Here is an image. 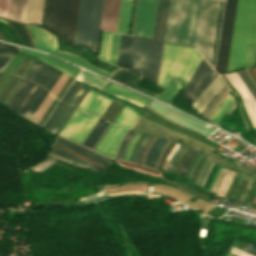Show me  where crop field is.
<instances>
[{"instance_id":"1","label":"crop field","mask_w":256,"mask_h":256,"mask_svg":"<svg viewBox=\"0 0 256 256\" xmlns=\"http://www.w3.org/2000/svg\"><path fill=\"white\" fill-rule=\"evenodd\" d=\"M255 52L256 0H238L227 71L254 65Z\"/></svg>"},{"instance_id":"2","label":"crop field","mask_w":256,"mask_h":256,"mask_svg":"<svg viewBox=\"0 0 256 256\" xmlns=\"http://www.w3.org/2000/svg\"><path fill=\"white\" fill-rule=\"evenodd\" d=\"M202 1H170L164 41L196 45Z\"/></svg>"},{"instance_id":"3","label":"crop field","mask_w":256,"mask_h":256,"mask_svg":"<svg viewBox=\"0 0 256 256\" xmlns=\"http://www.w3.org/2000/svg\"><path fill=\"white\" fill-rule=\"evenodd\" d=\"M80 0H48L44 26L65 41H74Z\"/></svg>"},{"instance_id":"4","label":"crop field","mask_w":256,"mask_h":256,"mask_svg":"<svg viewBox=\"0 0 256 256\" xmlns=\"http://www.w3.org/2000/svg\"><path fill=\"white\" fill-rule=\"evenodd\" d=\"M104 0H81L75 45L96 52Z\"/></svg>"},{"instance_id":"5","label":"crop field","mask_w":256,"mask_h":256,"mask_svg":"<svg viewBox=\"0 0 256 256\" xmlns=\"http://www.w3.org/2000/svg\"><path fill=\"white\" fill-rule=\"evenodd\" d=\"M222 1L204 0L196 49L212 65ZM208 62V63H209Z\"/></svg>"},{"instance_id":"6","label":"crop field","mask_w":256,"mask_h":256,"mask_svg":"<svg viewBox=\"0 0 256 256\" xmlns=\"http://www.w3.org/2000/svg\"><path fill=\"white\" fill-rule=\"evenodd\" d=\"M196 50L165 43L158 85L165 89L168 77L182 81Z\"/></svg>"},{"instance_id":"7","label":"crop field","mask_w":256,"mask_h":256,"mask_svg":"<svg viewBox=\"0 0 256 256\" xmlns=\"http://www.w3.org/2000/svg\"><path fill=\"white\" fill-rule=\"evenodd\" d=\"M237 0H226L215 69L226 73Z\"/></svg>"},{"instance_id":"8","label":"crop field","mask_w":256,"mask_h":256,"mask_svg":"<svg viewBox=\"0 0 256 256\" xmlns=\"http://www.w3.org/2000/svg\"><path fill=\"white\" fill-rule=\"evenodd\" d=\"M29 83H30V81L24 79V81L22 82V84L20 85V87L18 88V90L16 91V93L14 94L12 99L10 100V102L8 103L7 106L9 108H11L13 111L16 112L19 105L22 103V101L24 100L26 95L29 93V91L33 87L34 83H31L30 87L26 91L25 89L27 88ZM24 90L26 91V93L24 94V96L22 97L20 102L17 104V106L14 108V106L18 102V100H19L20 96L22 95V93L24 92ZM47 93L48 92L45 89H43L42 87H40L38 85H35V87L32 89V91L30 92L28 97L25 99V101L23 102L21 107L18 109L17 113L25 118L30 119V117L33 115V113L35 112L37 107L40 105V103L42 102L44 97L47 95Z\"/></svg>"},{"instance_id":"9","label":"crop field","mask_w":256,"mask_h":256,"mask_svg":"<svg viewBox=\"0 0 256 256\" xmlns=\"http://www.w3.org/2000/svg\"><path fill=\"white\" fill-rule=\"evenodd\" d=\"M158 0H137L132 35L152 39Z\"/></svg>"},{"instance_id":"10","label":"crop field","mask_w":256,"mask_h":256,"mask_svg":"<svg viewBox=\"0 0 256 256\" xmlns=\"http://www.w3.org/2000/svg\"><path fill=\"white\" fill-rule=\"evenodd\" d=\"M97 120L98 118L84 114L76 108L60 136L82 144Z\"/></svg>"},{"instance_id":"11","label":"crop field","mask_w":256,"mask_h":256,"mask_svg":"<svg viewBox=\"0 0 256 256\" xmlns=\"http://www.w3.org/2000/svg\"><path fill=\"white\" fill-rule=\"evenodd\" d=\"M216 75L209 64L202 59L184 91L185 98L193 102Z\"/></svg>"},{"instance_id":"12","label":"crop field","mask_w":256,"mask_h":256,"mask_svg":"<svg viewBox=\"0 0 256 256\" xmlns=\"http://www.w3.org/2000/svg\"><path fill=\"white\" fill-rule=\"evenodd\" d=\"M60 75L61 72L39 61H36L32 69L26 76V79H29L41 86H44L49 92V90L54 85Z\"/></svg>"},{"instance_id":"13","label":"crop field","mask_w":256,"mask_h":256,"mask_svg":"<svg viewBox=\"0 0 256 256\" xmlns=\"http://www.w3.org/2000/svg\"><path fill=\"white\" fill-rule=\"evenodd\" d=\"M151 40L136 38L134 37L131 60H130V70H134L137 72L143 71L145 74L149 48H150Z\"/></svg>"},{"instance_id":"14","label":"crop field","mask_w":256,"mask_h":256,"mask_svg":"<svg viewBox=\"0 0 256 256\" xmlns=\"http://www.w3.org/2000/svg\"><path fill=\"white\" fill-rule=\"evenodd\" d=\"M128 130L112 124L96 151L101 152L110 157H115L119 144Z\"/></svg>"},{"instance_id":"15","label":"crop field","mask_w":256,"mask_h":256,"mask_svg":"<svg viewBox=\"0 0 256 256\" xmlns=\"http://www.w3.org/2000/svg\"><path fill=\"white\" fill-rule=\"evenodd\" d=\"M26 27L29 29L34 38L35 49L46 51L58 56L55 36L36 25H26Z\"/></svg>"},{"instance_id":"16","label":"crop field","mask_w":256,"mask_h":256,"mask_svg":"<svg viewBox=\"0 0 256 256\" xmlns=\"http://www.w3.org/2000/svg\"><path fill=\"white\" fill-rule=\"evenodd\" d=\"M238 91L239 95L242 98L245 110L254 126L256 128V101L249 93L248 89L236 75V73L226 74L224 76ZM248 101V103H246Z\"/></svg>"},{"instance_id":"17","label":"crop field","mask_w":256,"mask_h":256,"mask_svg":"<svg viewBox=\"0 0 256 256\" xmlns=\"http://www.w3.org/2000/svg\"><path fill=\"white\" fill-rule=\"evenodd\" d=\"M102 96L103 95H101L97 91H95V90L90 88V90L88 91L86 96L83 98V100L81 101V103L79 104L78 107L80 109H82L83 111H85V112L93 113V114L101 117V115L103 114V112L105 111V109L107 108L109 103L111 102V99H109V98H107L105 96L100 101ZM99 101H100V103H99ZM103 103H104V105H103ZM100 107H101V109H100ZM97 111H98V113H97Z\"/></svg>"},{"instance_id":"18","label":"crop field","mask_w":256,"mask_h":256,"mask_svg":"<svg viewBox=\"0 0 256 256\" xmlns=\"http://www.w3.org/2000/svg\"><path fill=\"white\" fill-rule=\"evenodd\" d=\"M120 0H105L101 29L116 32Z\"/></svg>"},{"instance_id":"19","label":"crop field","mask_w":256,"mask_h":256,"mask_svg":"<svg viewBox=\"0 0 256 256\" xmlns=\"http://www.w3.org/2000/svg\"><path fill=\"white\" fill-rule=\"evenodd\" d=\"M102 91L110 93L112 95L124 98L126 100H129L131 102H134L140 106L146 105L148 102L151 101V99L142 96L136 92H133L131 90H128L124 87H121L119 85L113 84L109 82L103 89Z\"/></svg>"},{"instance_id":"20","label":"crop field","mask_w":256,"mask_h":256,"mask_svg":"<svg viewBox=\"0 0 256 256\" xmlns=\"http://www.w3.org/2000/svg\"><path fill=\"white\" fill-rule=\"evenodd\" d=\"M163 45L164 43L162 42L154 40L151 42L146 75L152 78L156 83L158 81Z\"/></svg>"},{"instance_id":"21","label":"crop field","mask_w":256,"mask_h":256,"mask_svg":"<svg viewBox=\"0 0 256 256\" xmlns=\"http://www.w3.org/2000/svg\"><path fill=\"white\" fill-rule=\"evenodd\" d=\"M23 52L35 57V58H38L50 65H52L53 67L67 73L68 75L72 76V77H75L77 75V73L81 70L75 66H72L66 62H63L61 60H58L56 58H53V57H50L48 55H45V54H42V53H39V52H35V51H31V50H26V49H22L20 48Z\"/></svg>"},{"instance_id":"22","label":"crop field","mask_w":256,"mask_h":256,"mask_svg":"<svg viewBox=\"0 0 256 256\" xmlns=\"http://www.w3.org/2000/svg\"><path fill=\"white\" fill-rule=\"evenodd\" d=\"M222 79L217 75L215 79L208 85V87L201 93V95L196 99V101L193 103V108L198 109L199 106L205 101V99L212 93V91L216 88V86L219 84V82ZM224 82L221 81V83L218 85V87L213 91V93L207 98V100L200 106V108L197 110L199 114L202 113V111L205 109V107L209 104V102L213 99V97L222 89L224 86Z\"/></svg>"},{"instance_id":"23","label":"crop field","mask_w":256,"mask_h":256,"mask_svg":"<svg viewBox=\"0 0 256 256\" xmlns=\"http://www.w3.org/2000/svg\"><path fill=\"white\" fill-rule=\"evenodd\" d=\"M133 0H122L117 32L128 34Z\"/></svg>"},{"instance_id":"24","label":"crop field","mask_w":256,"mask_h":256,"mask_svg":"<svg viewBox=\"0 0 256 256\" xmlns=\"http://www.w3.org/2000/svg\"><path fill=\"white\" fill-rule=\"evenodd\" d=\"M57 143L62 144L64 146H66V147H69V148H71V149H73V150H75V151H77V152H79L81 154H84V155H86V156H88L90 158H93V159H96L98 161L104 162L106 164H108L109 161H110L109 158H107V157H105V156H103V155H101V154H99V153H97V152H95L93 150H90L88 148L80 146V145H78L76 143H73L71 141L63 139L61 137L58 138Z\"/></svg>"},{"instance_id":"25","label":"crop field","mask_w":256,"mask_h":256,"mask_svg":"<svg viewBox=\"0 0 256 256\" xmlns=\"http://www.w3.org/2000/svg\"><path fill=\"white\" fill-rule=\"evenodd\" d=\"M133 37L122 35L117 65L128 69Z\"/></svg>"},{"instance_id":"26","label":"crop field","mask_w":256,"mask_h":256,"mask_svg":"<svg viewBox=\"0 0 256 256\" xmlns=\"http://www.w3.org/2000/svg\"><path fill=\"white\" fill-rule=\"evenodd\" d=\"M108 125L109 122H105V120L99 118V120L97 121V123L95 124V126L83 142V145L93 149V147L95 146V144L97 143V141L99 140V138L101 137V135L103 134Z\"/></svg>"},{"instance_id":"27","label":"crop field","mask_w":256,"mask_h":256,"mask_svg":"<svg viewBox=\"0 0 256 256\" xmlns=\"http://www.w3.org/2000/svg\"><path fill=\"white\" fill-rule=\"evenodd\" d=\"M138 117L137 111L125 105L114 120V123L131 128Z\"/></svg>"},{"instance_id":"28","label":"crop field","mask_w":256,"mask_h":256,"mask_svg":"<svg viewBox=\"0 0 256 256\" xmlns=\"http://www.w3.org/2000/svg\"><path fill=\"white\" fill-rule=\"evenodd\" d=\"M59 55H60L61 58L65 59L69 62H72L76 65H79V66L84 67L86 69H89L91 71L97 72L99 74H102V75H104L108 78L111 76L110 73H107L105 71H102V70L90 65L89 63L86 62V60L80 58V56H78V55L69 54V53H66V52H63V51H59Z\"/></svg>"},{"instance_id":"29","label":"crop field","mask_w":256,"mask_h":256,"mask_svg":"<svg viewBox=\"0 0 256 256\" xmlns=\"http://www.w3.org/2000/svg\"><path fill=\"white\" fill-rule=\"evenodd\" d=\"M25 7L26 0H10L7 18L23 22Z\"/></svg>"},{"instance_id":"30","label":"crop field","mask_w":256,"mask_h":256,"mask_svg":"<svg viewBox=\"0 0 256 256\" xmlns=\"http://www.w3.org/2000/svg\"><path fill=\"white\" fill-rule=\"evenodd\" d=\"M168 140L157 138L154 144L149 149L144 164L154 166L157 159Z\"/></svg>"},{"instance_id":"31","label":"crop field","mask_w":256,"mask_h":256,"mask_svg":"<svg viewBox=\"0 0 256 256\" xmlns=\"http://www.w3.org/2000/svg\"><path fill=\"white\" fill-rule=\"evenodd\" d=\"M180 88L181 85L177 80L169 78L166 89L156 98L169 104L174 96L177 94V92L180 90Z\"/></svg>"},{"instance_id":"32","label":"crop field","mask_w":256,"mask_h":256,"mask_svg":"<svg viewBox=\"0 0 256 256\" xmlns=\"http://www.w3.org/2000/svg\"><path fill=\"white\" fill-rule=\"evenodd\" d=\"M77 80L97 87L99 89H101L108 82V80L91 74L85 70L81 72V74L77 77Z\"/></svg>"},{"instance_id":"33","label":"crop field","mask_w":256,"mask_h":256,"mask_svg":"<svg viewBox=\"0 0 256 256\" xmlns=\"http://www.w3.org/2000/svg\"><path fill=\"white\" fill-rule=\"evenodd\" d=\"M17 50L16 47L2 44L0 47V71L4 69Z\"/></svg>"},{"instance_id":"34","label":"crop field","mask_w":256,"mask_h":256,"mask_svg":"<svg viewBox=\"0 0 256 256\" xmlns=\"http://www.w3.org/2000/svg\"><path fill=\"white\" fill-rule=\"evenodd\" d=\"M111 35L112 33L104 32V31H102V34H101L98 57L105 61H107L108 59Z\"/></svg>"},{"instance_id":"35","label":"crop field","mask_w":256,"mask_h":256,"mask_svg":"<svg viewBox=\"0 0 256 256\" xmlns=\"http://www.w3.org/2000/svg\"><path fill=\"white\" fill-rule=\"evenodd\" d=\"M120 38H121V35L113 33L108 62L115 65L117 62Z\"/></svg>"},{"instance_id":"36","label":"crop field","mask_w":256,"mask_h":256,"mask_svg":"<svg viewBox=\"0 0 256 256\" xmlns=\"http://www.w3.org/2000/svg\"><path fill=\"white\" fill-rule=\"evenodd\" d=\"M201 58L202 57L199 55V53L196 52V54H195V56H194V58H193V60L190 64V67H189V69H188V71H187V73H186V75H185V77L182 81L184 87L187 84L188 80L190 79L191 75L193 74V72H194L195 68L197 67L198 63L200 62Z\"/></svg>"},{"instance_id":"37","label":"crop field","mask_w":256,"mask_h":256,"mask_svg":"<svg viewBox=\"0 0 256 256\" xmlns=\"http://www.w3.org/2000/svg\"><path fill=\"white\" fill-rule=\"evenodd\" d=\"M53 149L56 150V151H59V152H61V153H64V154H66V155H69V156H71V157H73V158H75V159H77V160H80V161H82V162H84V163H86V164H88V165H90V166H93V167H95V168H97V169H99V170H101V171L103 170V168H100V167H98V166H96V165H94V164H92V163H90V162H88V161H86V160H84V159H82V158H80V157H78V156H76V155L70 153V152H67V151H65V150H63V149H60V148H58V147H56V146H54Z\"/></svg>"},{"instance_id":"38","label":"crop field","mask_w":256,"mask_h":256,"mask_svg":"<svg viewBox=\"0 0 256 256\" xmlns=\"http://www.w3.org/2000/svg\"><path fill=\"white\" fill-rule=\"evenodd\" d=\"M231 97H232L231 94H229L225 98V100L219 105L218 109L216 110V112L213 114V116L210 118L209 121L212 122L217 117V115L222 111V109L224 108V106L227 104V102L230 100Z\"/></svg>"},{"instance_id":"39","label":"crop field","mask_w":256,"mask_h":256,"mask_svg":"<svg viewBox=\"0 0 256 256\" xmlns=\"http://www.w3.org/2000/svg\"><path fill=\"white\" fill-rule=\"evenodd\" d=\"M9 0L0 1V17L6 18Z\"/></svg>"},{"instance_id":"40","label":"crop field","mask_w":256,"mask_h":256,"mask_svg":"<svg viewBox=\"0 0 256 256\" xmlns=\"http://www.w3.org/2000/svg\"><path fill=\"white\" fill-rule=\"evenodd\" d=\"M235 102V100L233 99V97L231 98V100L228 102V104L226 105V107L223 109V111L220 113V115L215 119L214 123H218L219 120L227 113V111L230 109V107L233 105V103Z\"/></svg>"},{"instance_id":"41","label":"crop field","mask_w":256,"mask_h":256,"mask_svg":"<svg viewBox=\"0 0 256 256\" xmlns=\"http://www.w3.org/2000/svg\"><path fill=\"white\" fill-rule=\"evenodd\" d=\"M169 1L170 0H166L164 19H163V25H162V31H161V37H160V40H162V41H163V38H164V32H165V26H166V20H167V13H168V7H169Z\"/></svg>"},{"instance_id":"42","label":"crop field","mask_w":256,"mask_h":256,"mask_svg":"<svg viewBox=\"0 0 256 256\" xmlns=\"http://www.w3.org/2000/svg\"><path fill=\"white\" fill-rule=\"evenodd\" d=\"M151 138V136L147 135V137L144 139V141L141 143L136 155H135V158H134V162H139V158H140V154L145 146V144L149 141V139Z\"/></svg>"},{"instance_id":"43","label":"crop field","mask_w":256,"mask_h":256,"mask_svg":"<svg viewBox=\"0 0 256 256\" xmlns=\"http://www.w3.org/2000/svg\"><path fill=\"white\" fill-rule=\"evenodd\" d=\"M161 5H162V0H159V5H158L157 18H156V24H155V30H154L153 39H156V36H157V30H158V24H159V18H160Z\"/></svg>"},{"instance_id":"44","label":"crop field","mask_w":256,"mask_h":256,"mask_svg":"<svg viewBox=\"0 0 256 256\" xmlns=\"http://www.w3.org/2000/svg\"><path fill=\"white\" fill-rule=\"evenodd\" d=\"M140 135H141V133H137V134L133 137V139H132V141H131V143H130V145H129V147H128L127 153H126V155H125V158H124L125 160H128V159H129L130 151H131L133 145L135 144L136 140L139 138Z\"/></svg>"},{"instance_id":"45","label":"crop field","mask_w":256,"mask_h":256,"mask_svg":"<svg viewBox=\"0 0 256 256\" xmlns=\"http://www.w3.org/2000/svg\"><path fill=\"white\" fill-rule=\"evenodd\" d=\"M63 105V102H60V104L57 106V108L55 109V111L52 113V115L49 117V119L47 120V122L45 123V125L43 126V128L47 129V127L49 126V124L51 123V121L53 120V118L55 117V115L57 114V112L59 111V109L61 108V106Z\"/></svg>"},{"instance_id":"46","label":"crop field","mask_w":256,"mask_h":256,"mask_svg":"<svg viewBox=\"0 0 256 256\" xmlns=\"http://www.w3.org/2000/svg\"><path fill=\"white\" fill-rule=\"evenodd\" d=\"M72 106V105H71ZM71 106L68 105V107L66 108V110L64 111V113L62 114V116L60 117V119L58 120V122L56 123V125L54 126V128L52 129V132L55 133V131L57 130V128L59 127V125L61 124V122L63 121V119L65 118V116L67 115V113L69 112V110L71 109Z\"/></svg>"},{"instance_id":"47","label":"crop field","mask_w":256,"mask_h":256,"mask_svg":"<svg viewBox=\"0 0 256 256\" xmlns=\"http://www.w3.org/2000/svg\"><path fill=\"white\" fill-rule=\"evenodd\" d=\"M222 170H223V168H222ZM222 170H221V172H222ZM225 171H226V168L224 169L222 175L225 173ZM228 171H229V169L227 170V172H228ZM221 172H220V174H221ZM227 172L224 174L223 179H224L225 175L227 174ZM220 174H219V176H220ZM222 175H221V177H220V179H219L217 185L215 186V184H216V182H217V180H218V178H219V176H218V178H217V180H216V182H215V184H214L215 188H214V186H213L214 190H213V188H212L213 192H212V190H211L212 193H215V191H216V189H217V187H218V185H219V183H220V181H221ZM223 179H222V182H223ZM222 182H221V184H222ZM221 184H220V186H219V188L217 189V191H216L215 194H217V192L219 191V189H220V187H221Z\"/></svg>"},{"instance_id":"48","label":"crop field","mask_w":256,"mask_h":256,"mask_svg":"<svg viewBox=\"0 0 256 256\" xmlns=\"http://www.w3.org/2000/svg\"><path fill=\"white\" fill-rule=\"evenodd\" d=\"M52 152L57 153V154H59V155H61V156H63V157H66V158H68V159H71V160H73V161H75V162H77V163H79V164H82V165H84V166H86V167H89V168H91V170H93V171L98 172V173L101 174V171H99V170H97V169H95V168H93V167H90V166H88V165H86V164H84V163H82V162H80V161H77V160H75V159H73V158H71V157H69V156H66V155H64V154H61V153L56 152V151H54V150H52Z\"/></svg>"},{"instance_id":"49","label":"crop field","mask_w":256,"mask_h":256,"mask_svg":"<svg viewBox=\"0 0 256 256\" xmlns=\"http://www.w3.org/2000/svg\"><path fill=\"white\" fill-rule=\"evenodd\" d=\"M229 91H231L229 88L226 90V92L223 94V96L220 98V100L217 102V104L214 106V108L211 110V112L208 114L207 118H209L212 113L215 111V109L218 107V105L224 100V98L229 94Z\"/></svg>"},{"instance_id":"50","label":"crop field","mask_w":256,"mask_h":256,"mask_svg":"<svg viewBox=\"0 0 256 256\" xmlns=\"http://www.w3.org/2000/svg\"><path fill=\"white\" fill-rule=\"evenodd\" d=\"M195 154V151L192 150V152L190 153V155L188 156V158L186 159L183 167H182V170H181V175H184L185 171H186V168L190 162V160L192 159L193 155Z\"/></svg>"},{"instance_id":"51","label":"crop field","mask_w":256,"mask_h":256,"mask_svg":"<svg viewBox=\"0 0 256 256\" xmlns=\"http://www.w3.org/2000/svg\"><path fill=\"white\" fill-rule=\"evenodd\" d=\"M237 74L240 76V78L242 79V81L244 82V84L247 86V88L249 89V91L251 92V94L253 95V97L256 100V94L254 93V91L252 90V88L250 87V85L248 84V82L246 81L245 77L243 76V74L241 73V71L237 72Z\"/></svg>"},{"instance_id":"52","label":"crop field","mask_w":256,"mask_h":256,"mask_svg":"<svg viewBox=\"0 0 256 256\" xmlns=\"http://www.w3.org/2000/svg\"><path fill=\"white\" fill-rule=\"evenodd\" d=\"M132 133H133V131L129 130L128 134L126 135V137H125V139H124V141H123V143H122V145H121V147H120V150H119V153H118L117 158H120V157H121V154H122V152H123L124 146H125V144H126L128 138H129V136H130ZM130 137H131V136H130Z\"/></svg>"},{"instance_id":"53","label":"crop field","mask_w":256,"mask_h":256,"mask_svg":"<svg viewBox=\"0 0 256 256\" xmlns=\"http://www.w3.org/2000/svg\"><path fill=\"white\" fill-rule=\"evenodd\" d=\"M78 84V81L75 80V82L73 83V85L70 87V89L68 90V92L66 93V95L63 97V101L66 102V100L68 99V97L70 96V94L72 93V91L74 90V88L76 87V85Z\"/></svg>"},{"instance_id":"54","label":"crop field","mask_w":256,"mask_h":256,"mask_svg":"<svg viewBox=\"0 0 256 256\" xmlns=\"http://www.w3.org/2000/svg\"><path fill=\"white\" fill-rule=\"evenodd\" d=\"M183 145H180V147L177 149V151L174 153L173 157L171 158L170 162H169V165H168V168L167 170H171V167H172V163H173V160L174 158L176 157V155L179 153V151L182 149Z\"/></svg>"},{"instance_id":"55","label":"crop field","mask_w":256,"mask_h":256,"mask_svg":"<svg viewBox=\"0 0 256 256\" xmlns=\"http://www.w3.org/2000/svg\"><path fill=\"white\" fill-rule=\"evenodd\" d=\"M243 251H245V252H247V253H250V254L256 256V248H255L253 245H251V244H250V246H249V249H247V248L244 247Z\"/></svg>"},{"instance_id":"56","label":"crop field","mask_w":256,"mask_h":256,"mask_svg":"<svg viewBox=\"0 0 256 256\" xmlns=\"http://www.w3.org/2000/svg\"><path fill=\"white\" fill-rule=\"evenodd\" d=\"M230 251L235 253V254H238L240 256H252V255H249V254H247V253H245L243 251H240V250H238V249H236L234 247H232Z\"/></svg>"},{"instance_id":"57","label":"crop field","mask_w":256,"mask_h":256,"mask_svg":"<svg viewBox=\"0 0 256 256\" xmlns=\"http://www.w3.org/2000/svg\"><path fill=\"white\" fill-rule=\"evenodd\" d=\"M84 89H85V86L83 85L82 88L78 91V93L75 95V97H74L73 100L71 101V104L74 105V103L76 102V100H77L78 97L81 95V93L83 92Z\"/></svg>"},{"instance_id":"58","label":"crop field","mask_w":256,"mask_h":256,"mask_svg":"<svg viewBox=\"0 0 256 256\" xmlns=\"http://www.w3.org/2000/svg\"><path fill=\"white\" fill-rule=\"evenodd\" d=\"M235 175H236V172L233 173V175H232V177H231V179H230V181H229V183H228V186H227V188H226V190H225V192H224V194H223V197L225 196L226 192L228 191V189H229V187H230V185H231V183H232V181H233Z\"/></svg>"},{"instance_id":"59","label":"crop field","mask_w":256,"mask_h":256,"mask_svg":"<svg viewBox=\"0 0 256 256\" xmlns=\"http://www.w3.org/2000/svg\"><path fill=\"white\" fill-rule=\"evenodd\" d=\"M206 160H207V159H206ZM208 160H209V159H208ZM208 160H207V162H208ZM210 161H211V160H210ZM210 161H209L208 163L205 161V162L207 163V165L204 163L206 166H205V168H204V170H203V174H204L205 170L207 169V166H208V164L210 163ZM204 164H203V166H204ZM203 166H202V168H203ZM202 168H201V169H202ZM200 172H201V170H200ZM200 172H199V174H200ZM201 173H202V172H201ZM203 174H202V176H203ZM200 175H201V174H200ZM198 176H199V175H198ZM202 176H201V178H202ZM199 177H200V176H199ZM197 178H198V177H197ZM201 178H200V180H201ZM198 179H199V178H198ZM196 180H197V179H196ZM200 180H199V182H200ZM199 182H198V184H199Z\"/></svg>"},{"instance_id":"60","label":"crop field","mask_w":256,"mask_h":256,"mask_svg":"<svg viewBox=\"0 0 256 256\" xmlns=\"http://www.w3.org/2000/svg\"><path fill=\"white\" fill-rule=\"evenodd\" d=\"M248 191H249V189H248V188H245V190H244V192H243V194H242V196H241V198H240L241 201H244V199H245V197H246Z\"/></svg>"},{"instance_id":"61","label":"crop field","mask_w":256,"mask_h":256,"mask_svg":"<svg viewBox=\"0 0 256 256\" xmlns=\"http://www.w3.org/2000/svg\"><path fill=\"white\" fill-rule=\"evenodd\" d=\"M52 154V153H51ZM51 154H49L48 156H50V157H53V158H56V159H59V158H62V159H64V160H67V161H70V160H68V159H66V158H63V157H61V156H58V155H56V154H53V155H55V156H57V157H59V158H57V157H55V156H53V155H51ZM62 159H59V160H62ZM63 160V161H64ZM66 161V162H67ZM70 162H72V161H70ZM73 163V162H72Z\"/></svg>"},{"instance_id":"62","label":"crop field","mask_w":256,"mask_h":256,"mask_svg":"<svg viewBox=\"0 0 256 256\" xmlns=\"http://www.w3.org/2000/svg\"><path fill=\"white\" fill-rule=\"evenodd\" d=\"M226 90V88L224 89V91ZM224 91L220 94V96L224 93ZM219 96V97H220ZM219 97L214 101V103L209 107V109L206 111V113L204 114V117L206 116V114L209 112V110L212 108V106L215 104V102L219 99Z\"/></svg>"},{"instance_id":"63","label":"crop field","mask_w":256,"mask_h":256,"mask_svg":"<svg viewBox=\"0 0 256 256\" xmlns=\"http://www.w3.org/2000/svg\"><path fill=\"white\" fill-rule=\"evenodd\" d=\"M225 87H226V85L223 87V89H224ZM223 89H222V90H223ZM222 90H221V91H222ZM221 91H220L216 96H218V95L221 93ZM215 99H216V98H214V99L212 100V102H213ZM212 102L210 103V105L212 104ZM210 105H209V106H210ZM209 106H208V107H209ZM208 107H207V108H208ZM206 110H207V109H206ZM206 110H205V111H206ZM205 111H204V112H205ZM203 114H204V113H203ZM203 114H202V115H203Z\"/></svg>"},{"instance_id":"64","label":"crop field","mask_w":256,"mask_h":256,"mask_svg":"<svg viewBox=\"0 0 256 256\" xmlns=\"http://www.w3.org/2000/svg\"><path fill=\"white\" fill-rule=\"evenodd\" d=\"M213 164H214V162H213ZM213 164H212V166L210 167V169H209V171H208V173H207V175H206L205 178H207L208 174L210 173V171H211V169H212V167H213ZM204 182H205V180H204ZM204 182H203V184H204ZM203 184H202V186H203Z\"/></svg>"},{"instance_id":"65","label":"crop field","mask_w":256,"mask_h":256,"mask_svg":"<svg viewBox=\"0 0 256 256\" xmlns=\"http://www.w3.org/2000/svg\"><path fill=\"white\" fill-rule=\"evenodd\" d=\"M227 256H238V255H235V254L229 252V254Z\"/></svg>"},{"instance_id":"66","label":"crop field","mask_w":256,"mask_h":256,"mask_svg":"<svg viewBox=\"0 0 256 256\" xmlns=\"http://www.w3.org/2000/svg\"><path fill=\"white\" fill-rule=\"evenodd\" d=\"M246 72L248 73V75L250 76V78L252 79V81L254 82L252 76L249 74V72L246 70ZM254 84L256 85V83L254 82Z\"/></svg>"},{"instance_id":"67","label":"crop field","mask_w":256,"mask_h":256,"mask_svg":"<svg viewBox=\"0 0 256 256\" xmlns=\"http://www.w3.org/2000/svg\"><path fill=\"white\" fill-rule=\"evenodd\" d=\"M0 46H1V43H0Z\"/></svg>"},{"instance_id":"68","label":"crop field","mask_w":256,"mask_h":256,"mask_svg":"<svg viewBox=\"0 0 256 256\" xmlns=\"http://www.w3.org/2000/svg\"><path fill=\"white\" fill-rule=\"evenodd\" d=\"M0 75H1V73H0Z\"/></svg>"}]
</instances>
